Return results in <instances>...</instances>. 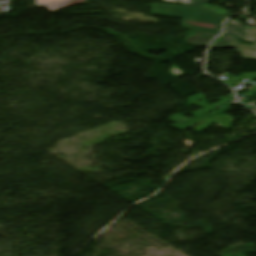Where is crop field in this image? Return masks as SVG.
Here are the masks:
<instances>
[{"label":"crop field","mask_w":256,"mask_h":256,"mask_svg":"<svg viewBox=\"0 0 256 256\" xmlns=\"http://www.w3.org/2000/svg\"><path fill=\"white\" fill-rule=\"evenodd\" d=\"M168 2L184 3L183 7L152 4L153 15L183 17V25L188 29L220 33L222 22L231 16L220 9L200 5L210 0H163Z\"/></svg>","instance_id":"crop-field-1"},{"label":"crop field","mask_w":256,"mask_h":256,"mask_svg":"<svg viewBox=\"0 0 256 256\" xmlns=\"http://www.w3.org/2000/svg\"><path fill=\"white\" fill-rule=\"evenodd\" d=\"M220 47L236 48L244 59L256 60V46L241 44L234 36H225L222 41L216 42L211 48Z\"/></svg>","instance_id":"crop-field-2"},{"label":"crop field","mask_w":256,"mask_h":256,"mask_svg":"<svg viewBox=\"0 0 256 256\" xmlns=\"http://www.w3.org/2000/svg\"><path fill=\"white\" fill-rule=\"evenodd\" d=\"M225 34H235L244 42H251L255 35V30L245 28L241 22L237 20H229L226 24Z\"/></svg>","instance_id":"crop-field-3"},{"label":"crop field","mask_w":256,"mask_h":256,"mask_svg":"<svg viewBox=\"0 0 256 256\" xmlns=\"http://www.w3.org/2000/svg\"><path fill=\"white\" fill-rule=\"evenodd\" d=\"M216 36L210 33L191 32L186 37V42L195 46H208Z\"/></svg>","instance_id":"crop-field-4"},{"label":"crop field","mask_w":256,"mask_h":256,"mask_svg":"<svg viewBox=\"0 0 256 256\" xmlns=\"http://www.w3.org/2000/svg\"><path fill=\"white\" fill-rule=\"evenodd\" d=\"M38 7L45 5L51 11L70 6L73 4L81 3L85 0H36Z\"/></svg>","instance_id":"crop-field-5"},{"label":"crop field","mask_w":256,"mask_h":256,"mask_svg":"<svg viewBox=\"0 0 256 256\" xmlns=\"http://www.w3.org/2000/svg\"><path fill=\"white\" fill-rule=\"evenodd\" d=\"M249 92L247 94L251 95L253 93H256V86H251L249 88H246Z\"/></svg>","instance_id":"crop-field-6"},{"label":"crop field","mask_w":256,"mask_h":256,"mask_svg":"<svg viewBox=\"0 0 256 256\" xmlns=\"http://www.w3.org/2000/svg\"><path fill=\"white\" fill-rule=\"evenodd\" d=\"M253 16V15H252ZM253 17H255V16H253ZM256 18V17H255ZM255 40H256V38H255Z\"/></svg>","instance_id":"crop-field-7"}]
</instances>
